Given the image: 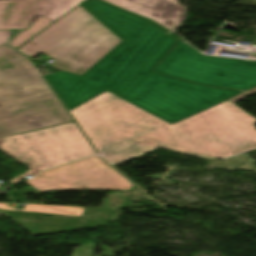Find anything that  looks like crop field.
Masks as SVG:
<instances>
[{"label":"crop field","mask_w":256,"mask_h":256,"mask_svg":"<svg viewBox=\"0 0 256 256\" xmlns=\"http://www.w3.org/2000/svg\"><path fill=\"white\" fill-rule=\"evenodd\" d=\"M81 6L123 41L81 76L66 71L44 76L68 110L108 90L172 124L242 93L151 72L179 38L100 0Z\"/></svg>","instance_id":"crop-field-1"},{"label":"crop field","mask_w":256,"mask_h":256,"mask_svg":"<svg viewBox=\"0 0 256 256\" xmlns=\"http://www.w3.org/2000/svg\"><path fill=\"white\" fill-rule=\"evenodd\" d=\"M256 119L228 100L144 139L104 154L115 163L156 147L230 157L256 147Z\"/></svg>","instance_id":"crop-field-2"},{"label":"crop field","mask_w":256,"mask_h":256,"mask_svg":"<svg viewBox=\"0 0 256 256\" xmlns=\"http://www.w3.org/2000/svg\"><path fill=\"white\" fill-rule=\"evenodd\" d=\"M29 59L0 47V136L72 122Z\"/></svg>","instance_id":"crop-field-3"},{"label":"crop field","mask_w":256,"mask_h":256,"mask_svg":"<svg viewBox=\"0 0 256 256\" xmlns=\"http://www.w3.org/2000/svg\"><path fill=\"white\" fill-rule=\"evenodd\" d=\"M122 40L80 5L23 45L30 57L43 53L53 68L81 75Z\"/></svg>","instance_id":"crop-field-4"},{"label":"crop field","mask_w":256,"mask_h":256,"mask_svg":"<svg viewBox=\"0 0 256 256\" xmlns=\"http://www.w3.org/2000/svg\"><path fill=\"white\" fill-rule=\"evenodd\" d=\"M70 113L99 154L139 140L170 125L107 91Z\"/></svg>","instance_id":"crop-field-5"},{"label":"crop field","mask_w":256,"mask_h":256,"mask_svg":"<svg viewBox=\"0 0 256 256\" xmlns=\"http://www.w3.org/2000/svg\"><path fill=\"white\" fill-rule=\"evenodd\" d=\"M0 149L31 169L10 183L96 154L74 122L0 138Z\"/></svg>","instance_id":"crop-field-6"},{"label":"crop field","mask_w":256,"mask_h":256,"mask_svg":"<svg viewBox=\"0 0 256 256\" xmlns=\"http://www.w3.org/2000/svg\"><path fill=\"white\" fill-rule=\"evenodd\" d=\"M153 71L218 87L246 90L256 86V61L203 56L182 39Z\"/></svg>","instance_id":"crop-field-7"},{"label":"crop field","mask_w":256,"mask_h":256,"mask_svg":"<svg viewBox=\"0 0 256 256\" xmlns=\"http://www.w3.org/2000/svg\"><path fill=\"white\" fill-rule=\"evenodd\" d=\"M26 183L40 193L54 190H131L133 185L98 156L47 170Z\"/></svg>","instance_id":"crop-field-8"},{"label":"crop field","mask_w":256,"mask_h":256,"mask_svg":"<svg viewBox=\"0 0 256 256\" xmlns=\"http://www.w3.org/2000/svg\"><path fill=\"white\" fill-rule=\"evenodd\" d=\"M138 15L150 18L168 30L177 28L184 18L179 0H104Z\"/></svg>","instance_id":"crop-field-9"},{"label":"crop field","mask_w":256,"mask_h":256,"mask_svg":"<svg viewBox=\"0 0 256 256\" xmlns=\"http://www.w3.org/2000/svg\"><path fill=\"white\" fill-rule=\"evenodd\" d=\"M40 0L0 1V30L26 29Z\"/></svg>","instance_id":"crop-field-10"},{"label":"crop field","mask_w":256,"mask_h":256,"mask_svg":"<svg viewBox=\"0 0 256 256\" xmlns=\"http://www.w3.org/2000/svg\"><path fill=\"white\" fill-rule=\"evenodd\" d=\"M82 1L84 0H41L28 28L40 15L55 21Z\"/></svg>","instance_id":"crop-field-11"},{"label":"crop field","mask_w":256,"mask_h":256,"mask_svg":"<svg viewBox=\"0 0 256 256\" xmlns=\"http://www.w3.org/2000/svg\"><path fill=\"white\" fill-rule=\"evenodd\" d=\"M0 209L15 210V208L8 207V204H5V203H0ZM83 210H84L83 207L39 205V204H26L24 208L25 212L46 213V214H56V215L76 216V217H81Z\"/></svg>","instance_id":"crop-field-12"},{"label":"crop field","mask_w":256,"mask_h":256,"mask_svg":"<svg viewBox=\"0 0 256 256\" xmlns=\"http://www.w3.org/2000/svg\"><path fill=\"white\" fill-rule=\"evenodd\" d=\"M53 21L40 16L35 23L28 29L23 31L20 35H18L11 43L10 45L14 47H19L20 45L27 42L29 39H31L33 36H35L38 32H40L42 29H44L46 26H48Z\"/></svg>","instance_id":"crop-field-13"},{"label":"crop field","mask_w":256,"mask_h":256,"mask_svg":"<svg viewBox=\"0 0 256 256\" xmlns=\"http://www.w3.org/2000/svg\"><path fill=\"white\" fill-rule=\"evenodd\" d=\"M9 32L10 31H0V46L7 43L10 37Z\"/></svg>","instance_id":"crop-field-14"},{"label":"crop field","mask_w":256,"mask_h":256,"mask_svg":"<svg viewBox=\"0 0 256 256\" xmlns=\"http://www.w3.org/2000/svg\"><path fill=\"white\" fill-rule=\"evenodd\" d=\"M252 94H256V88H254V89H252L250 91H247V92H245V93H243V94H241V95H239V96H237V97H235V98H233L231 100L236 102V101H238V100H240V99H242V98H244L246 96L252 95Z\"/></svg>","instance_id":"crop-field-15"}]
</instances>
